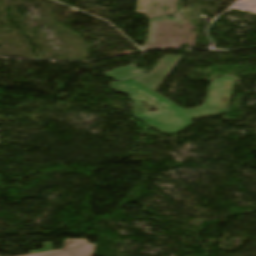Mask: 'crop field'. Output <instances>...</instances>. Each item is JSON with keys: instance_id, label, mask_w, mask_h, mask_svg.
Wrapping results in <instances>:
<instances>
[{"instance_id": "crop-field-1", "label": "crop field", "mask_w": 256, "mask_h": 256, "mask_svg": "<svg viewBox=\"0 0 256 256\" xmlns=\"http://www.w3.org/2000/svg\"><path fill=\"white\" fill-rule=\"evenodd\" d=\"M234 82L233 77H221L211 82L204 105L193 109H181L132 79L112 83L110 88L131 97L135 105L132 116L164 133L176 134L193 125L191 119L227 111Z\"/></svg>"}, {"instance_id": "crop-field-2", "label": "crop field", "mask_w": 256, "mask_h": 256, "mask_svg": "<svg viewBox=\"0 0 256 256\" xmlns=\"http://www.w3.org/2000/svg\"><path fill=\"white\" fill-rule=\"evenodd\" d=\"M181 58L182 57L174 56L163 57L150 73L133 79L154 90L175 67Z\"/></svg>"}, {"instance_id": "crop-field-3", "label": "crop field", "mask_w": 256, "mask_h": 256, "mask_svg": "<svg viewBox=\"0 0 256 256\" xmlns=\"http://www.w3.org/2000/svg\"><path fill=\"white\" fill-rule=\"evenodd\" d=\"M94 246L88 244L86 240L65 239L63 250L21 256H92Z\"/></svg>"}, {"instance_id": "crop-field-4", "label": "crop field", "mask_w": 256, "mask_h": 256, "mask_svg": "<svg viewBox=\"0 0 256 256\" xmlns=\"http://www.w3.org/2000/svg\"><path fill=\"white\" fill-rule=\"evenodd\" d=\"M177 0H138L137 13L144 14L146 18L171 14L176 11Z\"/></svg>"}, {"instance_id": "crop-field-5", "label": "crop field", "mask_w": 256, "mask_h": 256, "mask_svg": "<svg viewBox=\"0 0 256 256\" xmlns=\"http://www.w3.org/2000/svg\"><path fill=\"white\" fill-rule=\"evenodd\" d=\"M104 75L121 82L136 76L143 75V73H141L139 69L136 68L135 66L130 65V66L106 73Z\"/></svg>"}]
</instances>
